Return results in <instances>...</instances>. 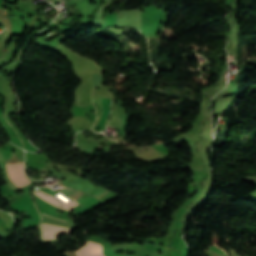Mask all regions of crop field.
Here are the masks:
<instances>
[{"label":"crop field","instance_id":"obj_1","mask_svg":"<svg viewBox=\"0 0 256 256\" xmlns=\"http://www.w3.org/2000/svg\"><path fill=\"white\" fill-rule=\"evenodd\" d=\"M23 163L19 162L17 164H6L7 172L11 180L20 188L22 186L28 185L31 181L25 177L22 170Z\"/></svg>","mask_w":256,"mask_h":256},{"label":"crop field","instance_id":"obj_2","mask_svg":"<svg viewBox=\"0 0 256 256\" xmlns=\"http://www.w3.org/2000/svg\"><path fill=\"white\" fill-rule=\"evenodd\" d=\"M70 229L59 228L42 223L41 234L42 240L56 239V237L61 233H68Z\"/></svg>","mask_w":256,"mask_h":256},{"label":"crop field","instance_id":"obj_3","mask_svg":"<svg viewBox=\"0 0 256 256\" xmlns=\"http://www.w3.org/2000/svg\"><path fill=\"white\" fill-rule=\"evenodd\" d=\"M77 253L79 256H103L101 251V244L89 241H87L84 247L77 250Z\"/></svg>","mask_w":256,"mask_h":256},{"label":"crop field","instance_id":"obj_4","mask_svg":"<svg viewBox=\"0 0 256 256\" xmlns=\"http://www.w3.org/2000/svg\"><path fill=\"white\" fill-rule=\"evenodd\" d=\"M42 191H43V190H42ZM33 193L36 194V195H38V196H40L41 198H43V199L49 201L50 203H52V204L58 206V207H60V205H62L63 207H60V208H62V209L69 210V209H71L72 207L78 205V204H76V203L70 201L69 199H66V200H64V201L61 202V201H59V200H57V199H55V198L49 196V195L46 194L45 192L37 191V192H33Z\"/></svg>","mask_w":256,"mask_h":256}]
</instances>
